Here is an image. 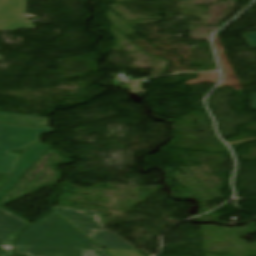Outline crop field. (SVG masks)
Listing matches in <instances>:
<instances>
[{
	"label": "crop field",
	"mask_w": 256,
	"mask_h": 256,
	"mask_svg": "<svg viewBox=\"0 0 256 256\" xmlns=\"http://www.w3.org/2000/svg\"><path fill=\"white\" fill-rule=\"evenodd\" d=\"M50 147L47 144L34 143L23 149L12 175L0 189V199L15 185L19 177L24 175Z\"/></svg>",
	"instance_id": "34b2d1b8"
},
{
	"label": "crop field",
	"mask_w": 256,
	"mask_h": 256,
	"mask_svg": "<svg viewBox=\"0 0 256 256\" xmlns=\"http://www.w3.org/2000/svg\"><path fill=\"white\" fill-rule=\"evenodd\" d=\"M54 211L89 238L104 229L98 213L55 207Z\"/></svg>",
	"instance_id": "412701ff"
},
{
	"label": "crop field",
	"mask_w": 256,
	"mask_h": 256,
	"mask_svg": "<svg viewBox=\"0 0 256 256\" xmlns=\"http://www.w3.org/2000/svg\"><path fill=\"white\" fill-rule=\"evenodd\" d=\"M113 256H143L138 251H127V250H109Z\"/></svg>",
	"instance_id": "5a996713"
},
{
	"label": "crop field",
	"mask_w": 256,
	"mask_h": 256,
	"mask_svg": "<svg viewBox=\"0 0 256 256\" xmlns=\"http://www.w3.org/2000/svg\"><path fill=\"white\" fill-rule=\"evenodd\" d=\"M250 98L253 104V110H256V94H252Z\"/></svg>",
	"instance_id": "28ad6ade"
},
{
	"label": "crop field",
	"mask_w": 256,
	"mask_h": 256,
	"mask_svg": "<svg viewBox=\"0 0 256 256\" xmlns=\"http://www.w3.org/2000/svg\"><path fill=\"white\" fill-rule=\"evenodd\" d=\"M24 12L25 0H0V29H34Z\"/></svg>",
	"instance_id": "f4fd0767"
},
{
	"label": "crop field",
	"mask_w": 256,
	"mask_h": 256,
	"mask_svg": "<svg viewBox=\"0 0 256 256\" xmlns=\"http://www.w3.org/2000/svg\"><path fill=\"white\" fill-rule=\"evenodd\" d=\"M17 251L30 256H109L54 213L23 230Z\"/></svg>",
	"instance_id": "8a807250"
},
{
	"label": "crop field",
	"mask_w": 256,
	"mask_h": 256,
	"mask_svg": "<svg viewBox=\"0 0 256 256\" xmlns=\"http://www.w3.org/2000/svg\"><path fill=\"white\" fill-rule=\"evenodd\" d=\"M242 37L247 42L250 48L256 47V32L255 33H249V34H243Z\"/></svg>",
	"instance_id": "3316defc"
},
{
	"label": "crop field",
	"mask_w": 256,
	"mask_h": 256,
	"mask_svg": "<svg viewBox=\"0 0 256 256\" xmlns=\"http://www.w3.org/2000/svg\"><path fill=\"white\" fill-rule=\"evenodd\" d=\"M47 126L40 128L9 125L0 123V173L11 174L19 155L7 153L39 142L38 136L45 132H51Z\"/></svg>",
	"instance_id": "ac0d7876"
},
{
	"label": "crop field",
	"mask_w": 256,
	"mask_h": 256,
	"mask_svg": "<svg viewBox=\"0 0 256 256\" xmlns=\"http://www.w3.org/2000/svg\"><path fill=\"white\" fill-rule=\"evenodd\" d=\"M0 122L38 127L48 124L49 120L45 117L0 112Z\"/></svg>",
	"instance_id": "e52e79f7"
},
{
	"label": "crop field",
	"mask_w": 256,
	"mask_h": 256,
	"mask_svg": "<svg viewBox=\"0 0 256 256\" xmlns=\"http://www.w3.org/2000/svg\"><path fill=\"white\" fill-rule=\"evenodd\" d=\"M91 239L98 245L103 248H111V249H134L131 245H129L125 240L117 236L113 232H109L107 230H103L97 234H95Z\"/></svg>",
	"instance_id": "d8731c3e"
},
{
	"label": "crop field",
	"mask_w": 256,
	"mask_h": 256,
	"mask_svg": "<svg viewBox=\"0 0 256 256\" xmlns=\"http://www.w3.org/2000/svg\"><path fill=\"white\" fill-rule=\"evenodd\" d=\"M28 223L0 208V256L13 255V241L18 231Z\"/></svg>",
	"instance_id": "dd49c442"
}]
</instances>
